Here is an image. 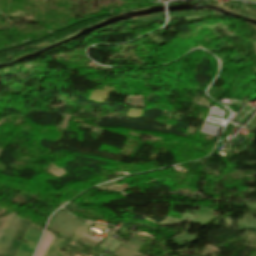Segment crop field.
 <instances>
[{"instance_id": "crop-field-2", "label": "crop field", "mask_w": 256, "mask_h": 256, "mask_svg": "<svg viewBox=\"0 0 256 256\" xmlns=\"http://www.w3.org/2000/svg\"><path fill=\"white\" fill-rule=\"evenodd\" d=\"M64 242V239H56L54 238L51 246L49 247L48 251L46 252L45 256H63L59 249Z\"/></svg>"}, {"instance_id": "crop-field-6", "label": "crop field", "mask_w": 256, "mask_h": 256, "mask_svg": "<svg viewBox=\"0 0 256 256\" xmlns=\"http://www.w3.org/2000/svg\"><path fill=\"white\" fill-rule=\"evenodd\" d=\"M77 255H78V254H77ZM77 255H76V256H77ZM80 255H83V254H80Z\"/></svg>"}, {"instance_id": "crop-field-4", "label": "crop field", "mask_w": 256, "mask_h": 256, "mask_svg": "<svg viewBox=\"0 0 256 256\" xmlns=\"http://www.w3.org/2000/svg\"><path fill=\"white\" fill-rule=\"evenodd\" d=\"M16 213H12L9 216H7L2 224V226L0 227V245L5 237V234L13 220V218L15 217Z\"/></svg>"}, {"instance_id": "crop-field-3", "label": "crop field", "mask_w": 256, "mask_h": 256, "mask_svg": "<svg viewBox=\"0 0 256 256\" xmlns=\"http://www.w3.org/2000/svg\"><path fill=\"white\" fill-rule=\"evenodd\" d=\"M53 236L50 234V233H45V236L42 240V243L38 249V252L36 254V256H44L45 252L47 251L50 243L52 242L53 240Z\"/></svg>"}, {"instance_id": "crop-field-5", "label": "crop field", "mask_w": 256, "mask_h": 256, "mask_svg": "<svg viewBox=\"0 0 256 256\" xmlns=\"http://www.w3.org/2000/svg\"><path fill=\"white\" fill-rule=\"evenodd\" d=\"M248 1H256V0H248Z\"/></svg>"}, {"instance_id": "crop-field-1", "label": "crop field", "mask_w": 256, "mask_h": 256, "mask_svg": "<svg viewBox=\"0 0 256 256\" xmlns=\"http://www.w3.org/2000/svg\"><path fill=\"white\" fill-rule=\"evenodd\" d=\"M40 236L41 232L28 228L24 235V240L28 243L22 242L15 256H31Z\"/></svg>"}]
</instances>
